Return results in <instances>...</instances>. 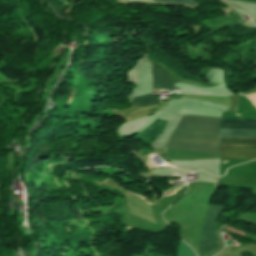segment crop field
Returning <instances> with one entry per match:
<instances>
[{
  "label": "crop field",
  "mask_w": 256,
  "mask_h": 256,
  "mask_svg": "<svg viewBox=\"0 0 256 256\" xmlns=\"http://www.w3.org/2000/svg\"><path fill=\"white\" fill-rule=\"evenodd\" d=\"M177 256H195V254L185 243L180 241Z\"/></svg>",
  "instance_id": "crop-field-8"
},
{
  "label": "crop field",
  "mask_w": 256,
  "mask_h": 256,
  "mask_svg": "<svg viewBox=\"0 0 256 256\" xmlns=\"http://www.w3.org/2000/svg\"><path fill=\"white\" fill-rule=\"evenodd\" d=\"M237 105H238V96L237 95L229 96L228 111L236 113Z\"/></svg>",
  "instance_id": "crop-field-9"
},
{
  "label": "crop field",
  "mask_w": 256,
  "mask_h": 256,
  "mask_svg": "<svg viewBox=\"0 0 256 256\" xmlns=\"http://www.w3.org/2000/svg\"><path fill=\"white\" fill-rule=\"evenodd\" d=\"M153 89H172L174 84L164 76L158 69H152Z\"/></svg>",
  "instance_id": "crop-field-6"
},
{
  "label": "crop field",
  "mask_w": 256,
  "mask_h": 256,
  "mask_svg": "<svg viewBox=\"0 0 256 256\" xmlns=\"http://www.w3.org/2000/svg\"><path fill=\"white\" fill-rule=\"evenodd\" d=\"M223 210L224 207L222 206H209L207 217L199 238L200 256H205L211 250L217 248L218 244L214 236V228Z\"/></svg>",
  "instance_id": "crop-field-2"
},
{
  "label": "crop field",
  "mask_w": 256,
  "mask_h": 256,
  "mask_svg": "<svg viewBox=\"0 0 256 256\" xmlns=\"http://www.w3.org/2000/svg\"><path fill=\"white\" fill-rule=\"evenodd\" d=\"M254 65H256V61H255Z\"/></svg>",
  "instance_id": "crop-field-11"
},
{
  "label": "crop field",
  "mask_w": 256,
  "mask_h": 256,
  "mask_svg": "<svg viewBox=\"0 0 256 256\" xmlns=\"http://www.w3.org/2000/svg\"><path fill=\"white\" fill-rule=\"evenodd\" d=\"M220 128L256 130V119H224V118H221Z\"/></svg>",
  "instance_id": "crop-field-5"
},
{
  "label": "crop field",
  "mask_w": 256,
  "mask_h": 256,
  "mask_svg": "<svg viewBox=\"0 0 256 256\" xmlns=\"http://www.w3.org/2000/svg\"><path fill=\"white\" fill-rule=\"evenodd\" d=\"M220 158L256 159V145L221 144Z\"/></svg>",
  "instance_id": "crop-field-3"
},
{
  "label": "crop field",
  "mask_w": 256,
  "mask_h": 256,
  "mask_svg": "<svg viewBox=\"0 0 256 256\" xmlns=\"http://www.w3.org/2000/svg\"><path fill=\"white\" fill-rule=\"evenodd\" d=\"M219 120L216 117L186 115L176 130L219 133ZM181 131L173 132L166 148L219 154V134Z\"/></svg>",
  "instance_id": "crop-field-1"
},
{
  "label": "crop field",
  "mask_w": 256,
  "mask_h": 256,
  "mask_svg": "<svg viewBox=\"0 0 256 256\" xmlns=\"http://www.w3.org/2000/svg\"><path fill=\"white\" fill-rule=\"evenodd\" d=\"M220 137L256 138V131L220 129ZM220 138L221 143L256 144V139Z\"/></svg>",
  "instance_id": "crop-field-4"
},
{
  "label": "crop field",
  "mask_w": 256,
  "mask_h": 256,
  "mask_svg": "<svg viewBox=\"0 0 256 256\" xmlns=\"http://www.w3.org/2000/svg\"><path fill=\"white\" fill-rule=\"evenodd\" d=\"M159 103H160L159 99L153 96L152 94L136 97L132 101L133 105H138V106L156 105Z\"/></svg>",
  "instance_id": "crop-field-7"
},
{
  "label": "crop field",
  "mask_w": 256,
  "mask_h": 256,
  "mask_svg": "<svg viewBox=\"0 0 256 256\" xmlns=\"http://www.w3.org/2000/svg\"><path fill=\"white\" fill-rule=\"evenodd\" d=\"M153 2H162V3H186L191 6L195 5L191 0H153Z\"/></svg>",
  "instance_id": "crop-field-10"
}]
</instances>
